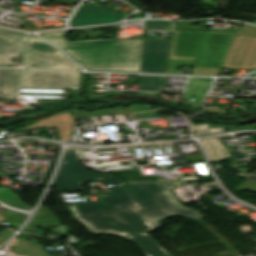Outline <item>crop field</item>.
I'll return each mask as SVG.
<instances>
[{
	"instance_id": "1",
	"label": "crop field",
	"mask_w": 256,
	"mask_h": 256,
	"mask_svg": "<svg viewBox=\"0 0 256 256\" xmlns=\"http://www.w3.org/2000/svg\"><path fill=\"white\" fill-rule=\"evenodd\" d=\"M106 194L99 202L72 203L70 210L92 233L121 235L134 241L147 256H166L168 253L146 233L154 227L126 184Z\"/></svg>"
},
{
	"instance_id": "2",
	"label": "crop field",
	"mask_w": 256,
	"mask_h": 256,
	"mask_svg": "<svg viewBox=\"0 0 256 256\" xmlns=\"http://www.w3.org/2000/svg\"><path fill=\"white\" fill-rule=\"evenodd\" d=\"M67 33L68 31L41 36L57 43L87 69L139 72L143 41L67 42Z\"/></svg>"
},
{
	"instance_id": "3",
	"label": "crop field",
	"mask_w": 256,
	"mask_h": 256,
	"mask_svg": "<svg viewBox=\"0 0 256 256\" xmlns=\"http://www.w3.org/2000/svg\"><path fill=\"white\" fill-rule=\"evenodd\" d=\"M127 186L155 227L160 228V221L171 216L180 215L198 220L205 216L193 209L184 208L170 190L169 183L161 181L131 182Z\"/></svg>"
},
{
	"instance_id": "4",
	"label": "crop field",
	"mask_w": 256,
	"mask_h": 256,
	"mask_svg": "<svg viewBox=\"0 0 256 256\" xmlns=\"http://www.w3.org/2000/svg\"><path fill=\"white\" fill-rule=\"evenodd\" d=\"M81 158L82 156L78 149H67L62 166L54 182L58 190H69L70 192L83 191L79 184L88 181L109 182L116 187L123 184V180H116L110 174H97L85 170L79 163Z\"/></svg>"
},
{
	"instance_id": "5",
	"label": "crop field",
	"mask_w": 256,
	"mask_h": 256,
	"mask_svg": "<svg viewBox=\"0 0 256 256\" xmlns=\"http://www.w3.org/2000/svg\"><path fill=\"white\" fill-rule=\"evenodd\" d=\"M25 67L55 68V69H80L70 62L55 46L38 39L29 37Z\"/></svg>"
},
{
	"instance_id": "6",
	"label": "crop field",
	"mask_w": 256,
	"mask_h": 256,
	"mask_svg": "<svg viewBox=\"0 0 256 256\" xmlns=\"http://www.w3.org/2000/svg\"><path fill=\"white\" fill-rule=\"evenodd\" d=\"M80 72L25 70L23 87L79 90Z\"/></svg>"
},
{
	"instance_id": "7",
	"label": "crop field",
	"mask_w": 256,
	"mask_h": 256,
	"mask_svg": "<svg viewBox=\"0 0 256 256\" xmlns=\"http://www.w3.org/2000/svg\"><path fill=\"white\" fill-rule=\"evenodd\" d=\"M222 68L256 69V37L237 34Z\"/></svg>"
},
{
	"instance_id": "8",
	"label": "crop field",
	"mask_w": 256,
	"mask_h": 256,
	"mask_svg": "<svg viewBox=\"0 0 256 256\" xmlns=\"http://www.w3.org/2000/svg\"><path fill=\"white\" fill-rule=\"evenodd\" d=\"M25 35L0 29V67L22 64Z\"/></svg>"
},
{
	"instance_id": "9",
	"label": "crop field",
	"mask_w": 256,
	"mask_h": 256,
	"mask_svg": "<svg viewBox=\"0 0 256 256\" xmlns=\"http://www.w3.org/2000/svg\"><path fill=\"white\" fill-rule=\"evenodd\" d=\"M113 6H79L69 22L71 27L91 24L110 23L122 20L127 14H115Z\"/></svg>"
},
{
	"instance_id": "10",
	"label": "crop field",
	"mask_w": 256,
	"mask_h": 256,
	"mask_svg": "<svg viewBox=\"0 0 256 256\" xmlns=\"http://www.w3.org/2000/svg\"><path fill=\"white\" fill-rule=\"evenodd\" d=\"M171 41L144 40L140 72L165 73Z\"/></svg>"
},
{
	"instance_id": "11",
	"label": "crop field",
	"mask_w": 256,
	"mask_h": 256,
	"mask_svg": "<svg viewBox=\"0 0 256 256\" xmlns=\"http://www.w3.org/2000/svg\"><path fill=\"white\" fill-rule=\"evenodd\" d=\"M75 125L69 111L52 115L44 120L36 122V124L23 128H34V127H56L59 137L61 140L67 141L71 134V126Z\"/></svg>"
},
{
	"instance_id": "12",
	"label": "crop field",
	"mask_w": 256,
	"mask_h": 256,
	"mask_svg": "<svg viewBox=\"0 0 256 256\" xmlns=\"http://www.w3.org/2000/svg\"><path fill=\"white\" fill-rule=\"evenodd\" d=\"M21 70H0V99L16 97Z\"/></svg>"
},
{
	"instance_id": "13",
	"label": "crop field",
	"mask_w": 256,
	"mask_h": 256,
	"mask_svg": "<svg viewBox=\"0 0 256 256\" xmlns=\"http://www.w3.org/2000/svg\"><path fill=\"white\" fill-rule=\"evenodd\" d=\"M36 241L17 239L13 252L23 256H51Z\"/></svg>"
},
{
	"instance_id": "14",
	"label": "crop field",
	"mask_w": 256,
	"mask_h": 256,
	"mask_svg": "<svg viewBox=\"0 0 256 256\" xmlns=\"http://www.w3.org/2000/svg\"><path fill=\"white\" fill-rule=\"evenodd\" d=\"M222 138H225V137H222ZM217 139H220V138H217ZM217 139L202 141V144L205 150L207 151V153L211 158L210 163L215 162L221 158L230 156L227 150L221 145V143Z\"/></svg>"
},
{
	"instance_id": "15",
	"label": "crop field",
	"mask_w": 256,
	"mask_h": 256,
	"mask_svg": "<svg viewBox=\"0 0 256 256\" xmlns=\"http://www.w3.org/2000/svg\"><path fill=\"white\" fill-rule=\"evenodd\" d=\"M0 201L18 209L30 210L34 208L23 203L20 196L9 189H0Z\"/></svg>"
},
{
	"instance_id": "16",
	"label": "crop field",
	"mask_w": 256,
	"mask_h": 256,
	"mask_svg": "<svg viewBox=\"0 0 256 256\" xmlns=\"http://www.w3.org/2000/svg\"><path fill=\"white\" fill-rule=\"evenodd\" d=\"M165 77L140 75L139 90L163 91Z\"/></svg>"
},
{
	"instance_id": "17",
	"label": "crop field",
	"mask_w": 256,
	"mask_h": 256,
	"mask_svg": "<svg viewBox=\"0 0 256 256\" xmlns=\"http://www.w3.org/2000/svg\"><path fill=\"white\" fill-rule=\"evenodd\" d=\"M195 137H202V136H211L218 133L225 132L223 127L220 128H208V124H201V125H192Z\"/></svg>"
},
{
	"instance_id": "18",
	"label": "crop field",
	"mask_w": 256,
	"mask_h": 256,
	"mask_svg": "<svg viewBox=\"0 0 256 256\" xmlns=\"http://www.w3.org/2000/svg\"><path fill=\"white\" fill-rule=\"evenodd\" d=\"M57 219L53 213L46 207H41L40 210L35 214L32 221H41V220H53Z\"/></svg>"
},
{
	"instance_id": "19",
	"label": "crop field",
	"mask_w": 256,
	"mask_h": 256,
	"mask_svg": "<svg viewBox=\"0 0 256 256\" xmlns=\"http://www.w3.org/2000/svg\"><path fill=\"white\" fill-rule=\"evenodd\" d=\"M171 27H172V21H159V20L146 21V29L162 28L163 30H170Z\"/></svg>"
},
{
	"instance_id": "20",
	"label": "crop field",
	"mask_w": 256,
	"mask_h": 256,
	"mask_svg": "<svg viewBox=\"0 0 256 256\" xmlns=\"http://www.w3.org/2000/svg\"><path fill=\"white\" fill-rule=\"evenodd\" d=\"M62 225L59 220L57 221H48V222H36V223H30L28 226L23 230L27 232H31V229L33 226H41L43 228L51 227V226H60Z\"/></svg>"
},
{
	"instance_id": "21",
	"label": "crop field",
	"mask_w": 256,
	"mask_h": 256,
	"mask_svg": "<svg viewBox=\"0 0 256 256\" xmlns=\"http://www.w3.org/2000/svg\"><path fill=\"white\" fill-rule=\"evenodd\" d=\"M236 190H251L256 192V179L246 180L242 184H240L238 187H236Z\"/></svg>"
},
{
	"instance_id": "22",
	"label": "crop field",
	"mask_w": 256,
	"mask_h": 256,
	"mask_svg": "<svg viewBox=\"0 0 256 256\" xmlns=\"http://www.w3.org/2000/svg\"><path fill=\"white\" fill-rule=\"evenodd\" d=\"M4 216L5 217H14V218L22 219V220H25V218L27 217L26 214H21L19 212L11 211L8 209H5Z\"/></svg>"
},
{
	"instance_id": "23",
	"label": "crop field",
	"mask_w": 256,
	"mask_h": 256,
	"mask_svg": "<svg viewBox=\"0 0 256 256\" xmlns=\"http://www.w3.org/2000/svg\"><path fill=\"white\" fill-rule=\"evenodd\" d=\"M13 234V230L6 229L0 232V245Z\"/></svg>"
},
{
	"instance_id": "24",
	"label": "crop field",
	"mask_w": 256,
	"mask_h": 256,
	"mask_svg": "<svg viewBox=\"0 0 256 256\" xmlns=\"http://www.w3.org/2000/svg\"><path fill=\"white\" fill-rule=\"evenodd\" d=\"M4 221L9 224L10 226H13V227H19L21 225V223L23 221H18V220H14V219H10V218H4Z\"/></svg>"
},
{
	"instance_id": "25",
	"label": "crop field",
	"mask_w": 256,
	"mask_h": 256,
	"mask_svg": "<svg viewBox=\"0 0 256 256\" xmlns=\"http://www.w3.org/2000/svg\"><path fill=\"white\" fill-rule=\"evenodd\" d=\"M252 159H256V157H251Z\"/></svg>"
},
{
	"instance_id": "26",
	"label": "crop field",
	"mask_w": 256,
	"mask_h": 256,
	"mask_svg": "<svg viewBox=\"0 0 256 256\" xmlns=\"http://www.w3.org/2000/svg\"><path fill=\"white\" fill-rule=\"evenodd\" d=\"M0 175H2L1 172H0Z\"/></svg>"
}]
</instances>
